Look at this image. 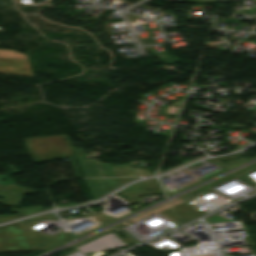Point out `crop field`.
<instances>
[{
  "label": "crop field",
  "instance_id": "8",
  "mask_svg": "<svg viewBox=\"0 0 256 256\" xmlns=\"http://www.w3.org/2000/svg\"><path fill=\"white\" fill-rule=\"evenodd\" d=\"M104 177L116 176L110 163L99 164Z\"/></svg>",
  "mask_w": 256,
  "mask_h": 256
},
{
  "label": "crop field",
  "instance_id": "6",
  "mask_svg": "<svg viewBox=\"0 0 256 256\" xmlns=\"http://www.w3.org/2000/svg\"><path fill=\"white\" fill-rule=\"evenodd\" d=\"M41 211H43L42 207L22 208L20 214H17V215H2V216H0V220H10V219L30 215V214H33V213L41 212Z\"/></svg>",
  "mask_w": 256,
  "mask_h": 256
},
{
  "label": "crop field",
  "instance_id": "4",
  "mask_svg": "<svg viewBox=\"0 0 256 256\" xmlns=\"http://www.w3.org/2000/svg\"><path fill=\"white\" fill-rule=\"evenodd\" d=\"M0 73L34 77L27 60L0 59Z\"/></svg>",
  "mask_w": 256,
  "mask_h": 256
},
{
  "label": "crop field",
  "instance_id": "2",
  "mask_svg": "<svg viewBox=\"0 0 256 256\" xmlns=\"http://www.w3.org/2000/svg\"><path fill=\"white\" fill-rule=\"evenodd\" d=\"M129 213L130 212L128 210V207L125 206L92 213H86L84 214L85 217L67 219L64 221L66 223L67 228L71 230V236L76 237L80 234L88 232L92 229H95L105 223H108ZM77 219H79L81 222H77Z\"/></svg>",
  "mask_w": 256,
  "mask_h": 256
},
{
  "label": "crop field",
  "instance_id": "1",
  "mask_svg": "<svg viewBox=\"0 0 256 256\" xmlns=\"http://www.w3.org/2000/svg\"><path fill=\"white\" fill-rule=\"evenodd\" d=\"M24 141L35 164L68 156L73 162L71 152L62 135L30 138L24 139ZM74 168L78 177H81L76 165Z\"/></svg>",
  "mask_w": 256,
  "mask_h": 256
},
{
  "label": "crop field",
  "instance_id": "5",
  "mask_svg": "<svg viewBox=\"0 0 256 256\" xmlns=\"http://www.w3.org/2000/svg\"><path fill=\"white\" fill-rule=\"evenodd\" d=\"M75 159L78 160L81 168L83 177H101L95 162L85 163L80 150H73L67 135H64Z\"/></svg>",
  "mask_w": 256,
  "mask_h": 256
},
{
  "label": "crop field",
  "instance_id": "7",
  "mask_svg": "<svg viewBox=\"0 0 256 256\" xmlns=\"http://www.w3.org/2000/svg\"><path fill=\"white\" fill-rule=\"evenodd\" d=\"M0 57L3 58H19V59H27V57L17 51L0 49Z\"/></svg>",
  "mask_w": 256,
  "mask_h": 256
},
{
  "label": "crop field",
  "instance_id": "3",
  "mask_svg": "<svg viewBox=\"0 0 256 256\" xmlns=\"http://www.w3.org/2000/svg\"><path fill=\"white\" fill-rule=\"evenodd\" d=\"M5 177L0 176V204L12 207L11 212L19 213L20 209L14 208L15 206L21 207L25 193L33 195L38 190L18 186L8 182L2 181ZM4 200L6 202H3Z\"/></svg>",
  "mask_w": 256,
  "mask_h": 256
}]
</instances>
